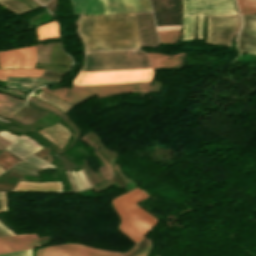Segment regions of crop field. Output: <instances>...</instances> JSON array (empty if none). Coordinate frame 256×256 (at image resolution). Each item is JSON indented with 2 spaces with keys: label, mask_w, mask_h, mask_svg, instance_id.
<instances>
[{
  "label": "crop field",
  "mask_w": 256,
  "mask_h": 256,
  "mask_svg": "<svg viewBox=\"0 0 256 256\" xmlns=\"http://www.w3.org/2000/svg\"><path fill=\"white\" fill-rule=\"evenodd\" d=\"M57 30H58V26L55 21L52 23L43 25L37 28V38L38 40L48 39V38H59Z\"/></svg>",
  "instance_id": "214f88e0"
},
{
  "label": "crop field",
  "mask_w": 256,
  "mask_h": 256,
  "mask_svg": "<svg viewBox=\"0 0 256 256\" xmlns=\"http://www.w3.org/2000/svg\"><path fill=\"white\" fill-rule=\"evenodd\" d=\"M148 54L153 68L172 67L181 69L182 61L185 56V53L173 56H163L153 53Z\"/></svg>",
  "instance_id": "d9b57169"
},
{
  "label": "crop field",
  "mask_w": 256,
  "mask_h": 256,
  "mask_svg": "<svg viewBox=\"0 0 256 256\" xmlns=\"http://www.w3.org/2000/svg\"><path fill=\"white\" fill-rule=\"evenodd\" d=\"M28 101L30 103H32V104L38 105V106H40V107H42V108H44V109H46L48 111H51V112L57 114L62 120L67 119V117H66V115L64 113L60 112L59 110H57L54 107H51L49 105L44 104L43 102H41V101L31 97V96L29 97Z\"/></svg>",
  "instance_id": "eef30255"
},
{
  "label": "crop field",
  "mask_w": 256,
  "mask_h": 256,
  "mask_svg": "<svg viewBox=\"0 0 256 256\" xmlns=\"http://www.w3.org/2000/svg\"><path fill=\"white\" fill-rule=\"evenodd\" d=\"M24 1L27 2L29 5H31L34 9H37V7L34 6V5H33L31 2H29L28 0H24ZM31 1H33L37 6L41 7V5L38 4L37 2H35L34 0H31Z\"/></svg>",
  "instance_id": "0bd39190"
},
{
  "label": "crop field",
  "mask_w": 256,
  "mask_h": 256,
  "mask_svg": "<svg viewBox=\"0 0 256 256\" xmlns=\"http://www.w3.org/2000/svg\"><path fill=\"white\" fill-rule=\"evenodd\" d=\"M27 106H29V107H31V108H33V109H35V110H37V111H39V112H41V113H43V114L48 113V112H46V111H44V110H41V109H39V108H37V107H35V106L29 104V103H27Z\"/></svg>",
  "instance_id": "028f5c9d"
},
{
  "label": "crop field",
  "mask_w": 256,
  "mask_h": 256,
  "mask_svg": "<svg viewBox=\"0 0 256 256\" xmlns=\"http://www.w3.org/2000/svg\"><path fill=\"white\" fill-rule=\"evenodd\" d=\"M78 189L81 190V189H85V186L83 185V183L81 182V180L76 176L75 172L71 171L70 172Z\"/></svg>",
  "instance_id": "1d83c4d3"
},
{
  "label": "crop field",
  "mask_w": 256,
  "mask_h": 256,
  "mask_svg": "<svg viewBox=\"0 0 256 256\" xmlns=\"http://www.w3.org/2000/svg\"><path fill=\"white\" fill-rule=\"evenodd\" d=\"M12 191H45V192H61V183H32L20 181Z\"/></svg>",
  "instance_id": "733c2abd"
},
{
  "label": "crop field",
  "mask_w": 256,
  "mask_h": 256,
  "mask_svg": "<svg viewBox=\"0 0 256 256\" xmlns=\"http://www.w3.org/2000/svg\"><path fill=\"white\" fill-rule=\"evenodd\" d=\"M240 14L256 13V0H236Z\"/></svg>",
  "instance_id": "730fd06b"
},
{
  "label": "crop field",
  "mask_w": 256,
  "mask_h": 256,
  "mask_svg": "<svg viewBox=\"0 0 256 256\" xmlns=\"http://www.w3.org/2000/svg\"><path fill=\"white\" fill-rule=\"evenodd\" d=\"M23 161H25V162H27V163H29V164H32V165H34V166H37V167H39V168L54 167V166L50 165L49 163L43 161L42 159H40V158H38V157H36V156H34V155L31 156V157H29V158L26 159V160H23Z\"/></svg>",
  "instance_id": "d3111659"
},
{
  "label": "crop field",
  "mask_w": 256,
  "mask_h": 256,
  "mask_svg": "<svg viewBox=\"0 0 256 256\" xmlns=\"http://www.w3.org/2000/svg\"><path fill=\"white\" fill-rule=\"evenodd\" d=\"M10 169L18 170V171H22V172H25V173L37 175V173H35V172L29 171V170H26V169H24V168L17 167V166H13V167L10 168Z\"/></svg>",
  "instance_id": "5866460e"
},
{
  "label": "crop field",
  "mask_w": 256,
  "mask_h": 256,
  "mask_svg": "<svg viewBox=\"0 0 256 256\" xmlns=\"http://www.w3.org/2000/svg\"><path fill=\"white\" fill-rule=\"evenodd\" d=\"M0 4L3 5L5 8H7L17 14H22V13L32 11L25 4H23L17 0H0Z\"/></svg>",
  "instance_id": "00972430"
},
{
  "label": "crop field",
  "mask_w": 256,
  "mask_h": 256,
  "mask_svg": "<svg viewBox=\"0 0 256 256\" xmlns=\"http://www.w3.org/2000/svg\"><path fill=\"white\" fill-rule=\"evenodd\" d=\"M150 82L143 83H128V84H113V85H98V86H83L80 88L97 93L99 96L112 95L120 92L128 91H147Z\"/></svg>",
  "instance_id": "22f410ed"
},
{
  "label": "crop field",
  "mask_w": 256,
  "mask_h": 256,
  "mask_svg": "<svg viewBox=\"0 0 256 256\" xmlns=\"http://www.w3.org/2000/svg\"><path fill=\"white\" fill-rule=\"evenodd\" d=\"M151 69L80 73L74 85H98L151 81Z\"/></svg>",
  "instance_id": "f4fd0767"
},
{
  "label": "crop field",
  "mask_w": 256,
  "mask_h": 256,
  "mask_svg": "<svg viewBox=\"0 0 256 256\" xmlns=\"http://www.w3.org/2000/svg\"><path fill=\"white\" fill-rule=\"evenodd\" d=\"M37 1H39V2L42 3V4H45V3L48 2L49 0H37Z\"/></svg>",
  "instance_id": "b80d0937"
},
{
  "label": "crop field",
  "mask_w": 256,
  "mask_h": 256,
  "mask_svg": "<svg viewBox=\"0 0 256 256\" xmlns=\"http://www.w3.org/2000/svg\"><path fill=\"white\" fill-rule=\"evenodd\" d=\"M0 135L13 143L6 149L21 159L32 155L42 148L41 145L24 135L18 137L5 131L0 132Z\"/></svg>",
  "instance_id": "5a996713"
},
{
  "label": "crop field",
  "mask_w": 256,
  "mask_h": 256,
  "mask_svg": "<svg viewBox=\"0 0 256 256\" xmlns=\"http://www.w3.org/2000/svg\"><path fill=\"white\" fill-rule=\"evenodd\" d=\"M7 210L5 193H0V212ZM13 233L0 224V236L12 235Z\"/></svg>",
  "instance_id": "ae1a2a85"
},
{
  "label": "crop field",
  "mask_w": 256,
  "mask_h": 256,
  "mask_svg": "<svg viewBox=\"0 0 256 256\" xmlns=\"http://www.w3.org/2000/svg\"><path fill=\"white\" fill-rule=\"evenodd\" d=\"M25 106V102L8 95L0 94V115L11 118L18 110Z\"/></svg>",
  "instance_id": "bc2a9ffb"
},
{
  "label": "crop field",
  "mask_w": 256,
  "mask_h": 256,
  "mask_svg": "<svg viewBox=\"0 0 256 256\" xmlns=\"http://www.w3.org/2000/svg\"><path fill=\"white\" fill-rule=\"evenodd\" d=\"M151 249L150 241L143 239L123 256H146Z\"/></svg>",
  "instance_id": "dafd665d"
},
{
  "label": "crop field",
  "mask_w": 256,
  "mask_h": 256,
  "mask_svg": "<svg viewBox=\"0 0 256 256\" xmlns=\"http://www.w3.org/2000/svg\"><path fill=\"white\" fill-rule=\"evenodd\" d=\"M147 197L149 195L137 188L112 200L121 220L119 229L136 243L145 236L152 226L157 224L155 219L134 204Z\"/></svg>",
  "instance_id": "ac0d7876"
},
{
  "label": "crop field",
  "mask_w": 256,
  "mask_h": 256,
  "mask_svg": "<svg viewBox=\"0 0 256 256\" xmlns=\"http://www.w3.org/2000/svg\"><path fill=\"white\" fill-rule=\"evenodd\" d=\"M35 46L18 50L0 52L1 68H33V69H0V80L5 81L7 76L40 77L44 70L34 69Z\"/></svg>",
  "instance_id": "412701ff"
},
{
  "label": "crop field",
  "mask_w": 256,
  "mask_h": 256,
  "mask_svg": "<svg viewBox=\"0 0 256 256\" xmlns=\"http://www.w3.org/2000/svg\"><path fill=\"white\" fill-rule=\"evenodd\" d=\"M141 44L158 46L152 12L134 14Z\"/></svg>",
  "instance_id": "28ad6ade"
},
{
  "label": "crop field",
  "mask_w": 256,
  "mask_h": 256,
  "mask_svg": "<svg viewBox=\"0 0 256 256\" xmlns=\"http://www.w3.org/2000/svg\"><path fill=\"white\" fill-rule=\"evenodd\" d=\"M40 117H42V115L35 113V112L27 109L26 107H24L17 114H15L13 116V119H15L25 125H28V124L38 120Z\"/></svg>",
  "instance_id": "92a150f3"
},
{
  "label": "crop field",
  "mask_w": 256,
  "mask_h": 256,
  "mask_svg": "<svg viewBox=\"0 0 256 256\" xmlns=\"http://www.w3.org/2000/svg\"><path fill=\"white\" fill-rule=\"evenodd\" d=\"M50 72H51V71H50ZM50 72L44 71L43 75H44V76L53 77V78H58V79H61L62 75H64V74H62V73H58V74H62V75H58V74H54V73H57V72H54V73H50ZM44 76H43V77H44ZM49 77H48V78H49ZM53 78H52V79H53ZM52 79H51V80H52ZM58 79H57V80H58ZM57 80H55V81H57Z\"/></svg>",
  "instance_id": "120bbe31"
},
{
  "label": "crop field",
  "mask_w": 256,
  "mask_h": 256,
  "mask_svg": "<svg viewBox=\"0 0 256 256\" xmlns=\"http://www.w3.org/2000/svg\"><path fill=\"white\" fill-rule=\"evenodd\" d=\"M123 253L103 251L78 244L53 245L40 249L37 256H121ZM0 256H32L31 249L0 254Z\"/></svg>",
  "instance_id": "dd49c442"
},
{
  "label": "crop field",
  "mask_w": 256,
  "mask_h": 256,
  "mask_svg": "<svg viewBox=\"0 0 256 256\" xmlns=\"http://www.w3.org/2000/svg\"><path fill=\"white\" fill-rule=\"evenodd\" d=\"M42 90L66 101L74 106L95 96L92 93L86 92V91L78 89L76 87H73V89L71 91H68L66 89H58V90L49 92V91L45 90L44 88H42Z\"/></svg>",
  "instance_id": "cbeb9de0"
},
{
  "label": "crop field",
  "mask_w": 256,
  "mask_h": 256,
  "mask_svg": "<svg viewBox=\"0 0 256 256\" xmlns=\"http://www.w3.org/2000/svg\"><path fill=\"white\" fill-rule=\"evenodd\" d=\"M238 25L237 16L208 18L206 42L230 47L232 34Z\"/></svg>",
  "instance_id": "e52e79f7"
},
{
  "label": "crop field",
  "mask_w": 256,
  "mask_h": 256,
  "mask_svg": "<svg viewBox=\"0 0 256 256\" xmlns=\"http://www.w3.org/2000/svg\"><path fill=\"white\" fill-rule=\"evenodd\" d=\"M181 30L158 31L161 43L173 44L178 41Z\"/></svg>",
  "instance_id": "4177f3b9"
},
{
  "label": "crop field",
  "mask_w": 256,
  "mask_h": 256,
  "mask_svg": "<svg viewBox=\"0 0 256 256\" xmlns=\"http://www.w3.org/2000/svg\"><path fill=\"white\" fill-rule=\"evenodd\" d=\"M106 14L151 11L149 0H103Z\"/></svg>",
  "instance_id": "3316defc"
},
{
  "label": "crop field",
  "mask_w": 256,
  "mask_h": 256,
  "mask_svg": "<svg viewBox=\"0 0 256 256\" xmlns=\"http://www.w3.org/2000/svg\"><path fill=\"white\" fill-rule=\"evenodd\" d=\"M17 164H20V165H22V166L29 167V168H32V169H35V170H39V169H37V168H35V167L31 166V165H28V164H26V163H24V162H22V161H20V162L17 163Z\"/></svg>",
  "instance_id": "e1f06a70"
},
{
  "label": "crop field",
  "mask_w": 256,
  "mask_h": 256,
  "mask_svg": "<svg viewBox=\"0 0 256 256\" xmlns=\"http://www.w3.org/2000/svg\"><path fill=\"white\" fill-rule=\"evenodd\" d=\"M238 51L256 55V15L241 16Z\"/></svg>",
  "instance_id": "d8731c3e"
},
{
  "label": "crop field",
  "mask_w": 256,
  "mask_h": 256,
  "mask_svg": "<svg viewBox=\"0 0 256 256\" xmlns=\"http://www.w3.org/2000/svg\"><path fill=\"white\" fill-rule=\"evenodd\" d=\"M38 98L52 104V105H55L57 106L59 109H61L63 112H67L68 110H70L72 107L63 103L62 101L52 97L51 95L41 91L38 95H37Z\"/></svg>",
  "instance_id": "a9b5d70f"
},
{
  "label": "crop field",
  "mask_w": 256,
  "mask_h": 256,
  "mask_svg": "<svg viewBox=\"0 0 256 256\" xmlns=\"http://www.w3.org/2000/svg\"><path fill=\"white\" fill-rule=\"evenodd\" d=\"M74 14L98 15L105 14L102 0H71Z\"/></svg>",
  "instance_id": "5142ce71"
},
{
  "label": "crop field",
  "mask_w": 256,
  "mask_h": 256,
  "mask_svg": "<svg viewBox=\"0 0 256 256\" xmlns=\"http://www.w3.org/2000/svg\"><path fill=\"white\" fill-rule=\"evenodd\" d=\"M39 247L35 234L14 235L0 238V253Z\"/></svg>",
  "instance_id": "d1516ede"
},
{
  "label": "crop field",
  "mask_w": 256,
  "mask_h": 256,
  "mask_svg": "<svg viewBox=\"0 0 256 256\" xmlns=\"http://www.w3.org/2000/svg\"><path fill=\"white\" fill-rule=\"evenodd\" d=\"M4 170L0 167V173L3 172Z\"/></svg>",
  "instance_id": "c035e120"
},
{
  "label": "crop field",
  "mask_w": 256,
  "mask_h": 256,
  "mask_svg": "<svg viewBox=\"0 0 256 256\" xmlns=\"http://www.w3.org/2000/svg\"><path fill=\"white\" fill-rule=\"evenodd\" d=\"M76 172H77V174L80 176V178H81L82 182L84 183V185L86 186V188H91V187L94 186L93 183L90 181V179L87 177V175H86L84 169H82V172H83V174L85 175V177L87 178V180L89 181L91 187H90V185L88 184V182L85 180V178L83 177V175H82V173L80 172V170H78V171H76Z\"/></svg>",
  "instance_id": "750c4746"
},
{
  "label": "crop field",
  "mask_w": 256,
  "mask_h": 256,
  "mask_svg": "<svg viewBox=\"0 0 256 256\" xmlns=\"http://www.w3.org/2000/svg\"><path fill=\"white\" fill-rule=\"evenodd\" d=\"M39 132L54 142L60 149L65 146L70 134L69 131L60 124H56Z\"/></svg>",
  "instance_id": "4a817a6b"
},
{
  "label": "crop field",
  "mask_w": 256,
  "mask_h": 256,
  "mask_svg": "<svg viewBox=\"0 0 256 256\" xmlns=\"http://www.w3.org/2000/svg\"><path fill=\"white\" fill-rule=\"evenodd\" d=\"M182 5V41L195 39L196 16L197 37L202 39L204 16L237 15L233 0H182Z\"/></svg>",
  "instance_id": "34b2d1b8"
},
{
  "label": "crop field",
  "mask_w": 256,
  "mask_h": 256,
  "mask_svg": "<svg viewBox=\"0 0 256 256\" xmlns=\"http://www.w3.org/2000/svg\"><path fill=\"white\" fill-rule=\"evenodd\" d=\"M86 52L141 47L133 14L82 17L77 22Z\"/></svg>",
  "instance_id": "8a807250"
},
{
  "label": "crop field",
  "mask_w": 256,
  "mask_h": 256,
  "mask_svg": "<svg viewBox=\"0 0 256 256\" xmlns=\"http://www.w3.org/2000/svg\"><path fill=\"white\" fill-rule=\"evenodd\" d=\"M66 175H67V177H68V179H69V181H70V183H71V190H72V191L77 190L76 185H75V183H74V181H73V179H72V177H71L69 171H66Z\"/></svg>",
  "instance_id": "d32e631a"
},
{
  "label": "crop field",
  "mask_w": 256,
  "mask_h": 256,
  "mask_svg": "<svg viewBox=\"0 0 256 256\" xmlns=\"http://www.w3.org/2000/svg\"><path fill=\"white\" fill-rule=\"evenodd\" d=\"M0 90H3V89H0ZM3 91H6V92H8V93H10L12 95H15L17 97H21V98H24V99H26V97H27V95L22 94V93H20L18 91H14V90H3ZM0 121L6 122V123L9 122L8 120H4V119H0Z\"/></svg>",
  "instance_id": "bd1437ed"
}]
</instances>
